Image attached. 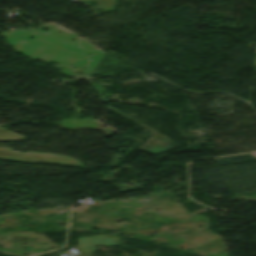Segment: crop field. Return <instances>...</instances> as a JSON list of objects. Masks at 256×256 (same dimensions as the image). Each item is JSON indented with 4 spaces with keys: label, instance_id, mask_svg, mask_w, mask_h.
Listing matches in <instances>:
<instances>
[{
    "label": "crop field",
    "instance_id": "crop-field-2",
    "mask_svg": "<svg viewBox=\"0 0 256 256\" xmlns=\"http://www.w3.org/2000/svg\"><path fill=\"white\" fill-rule=\"evenodd\" d=\"M119 238L111 234L95 235L93 237H81L78 241V256H88L92 246L112 245L118 246Z\"/></svg>",
    "mask_w": 256,
    "mask_h": 256
},
{
    "label": "crop field",
    "instance_id": "crop-field-1",
    "mask_svg": "<svg viewBox=\"0 0 256 256\" xmlns=\"http://www.w3.org/2000/svg\"><path fill=\"white\" fill-rule=\"evenodd\" d=\"M0 159L8 161L42 163L83 168L77 161L68 157L38 153L21 154L13 152L11 149L7 148H0Z\"/></svg>",
    "mask_w": 256,
    "mask_h": 256
},
{
    "label": "crop field",
    "instance_id": "crop-field-3",
    "mask_svg": "<svg viewBox=\"0 0 256 256\" xmlns=\"http://www.w3.org/2000/svg\"><path fill=\"white\" fill-rule=\"evenodd\" d=\"M0 140H25L23 137L0 128Z\"/></svg>",
    "mask_w": 256,
    "mask_h": 256
}]
</instances>
